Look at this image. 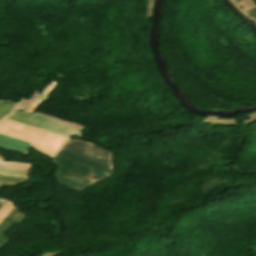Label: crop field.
I'll return each instance as SVG.
<instances>
[{
  "mask_svg": "<svg viewBox=\"0 0 256 256\" xmlns=\"http://www.w3.org/2000/svg\"><path fill=\"white\" fill-rule=\"evenodd\" d=\"M60 168L56 172L59 182L80 191L110 176L112 170L60 150L54 157Z\"/></svg>",
  "mask_w": 256,
  "mask_h": 256,
  "instance_id": "crop-field-1",
  "label": "crop field"
},
{
  "mask_svg": "<svg viewBox=\"0 0 256 256\" xmlns=\"http://www.w3.org/2000/svg\"><path fill=\"white\" fill-rule=\"evenodd\" d=\"M0 133L30 142L37 150L53 156L67 138L3 119Z\"/></svg>",
  "mask_w": 256,
  "mask_h": 256,
  "instance_id": "crop-field-2",
  "label": "crop field"
},
{
  "mask_svg": "<svg viewBox=\"0 0 256 256\" xmlns=\"http://www.w3.org/2000/svg\"><path fill=\"white\" fill-rule=\"evenodd\" d=\"M5 119L12 120L67 138H71L72 136L81 137L80 131L84 130V127L71 124L40 113L31 114L23 111H12L5 117Z\"/></svg>",
  "mask_w": 256,
  "mask_h": 256,
  "instance_id": "crop-field-3",
  "label": "crop field"
},
{
  "mask_svg": "<svg viewBox=\"0 0 256 256\" xmlns=\"http://www.w3.org/2000/svg\"><path fill=\"white\" fill-rule=\"evenodd\" d=\"M62 150L112 169V154L89 143L70 139Z\"/></svg>",
  "mask_w": 256,
  "mask_h": 256,
  "instance_id": "crop-field-4",
  "label": "crop field"
},
{
  "mask_svg": "<svg viewBox=\"0 0 256 256\" xmlns=\"http://www.w3.org/2000/svg\"><path fill=\"white\" fill-rule=\"evenodd\" d=\"M0 147L18 151L27 156L28 148L31 146L27 142L20 141L0 134Z\"/></svg>",
  "mask_w": 256,
  "mask_h": 256,
  "instance_id": "crop-field-5",
  "label": "crop field"
},
{
  "mask_svg": "<svg viewBox=\"0 0 256 256\" xmlns=\"http://www.w3.org/2000/svg\"><path fill=\"white\" fill-rule=\"evenodd\" d=\"M26 179L23 178H15V177H7L0 175V185H12L24 182Z\"/></svg>",
  "mask_w": 256,
  "mask_h": 256,
  "instance_id": "crop-field-6",
  "label": "crop field"
},
{
  "mask_svg": "<svg viewBox=\"0 0 256 256\" xmlns=\"http://www.w3.org/2000/svg\"><path fill=\"white\" fill-rule=\"evenodd\" d=\"M14 207L11 206L9 202L6 201V203L3 205V207L0 209V222L8 215V213L13 209Z\"/></svg>",
  "mask_w": 256,
  "mask_h": 256,
  "instance_id": "crop-field-7",
  "label": "crop field"
},
{
  "mask_svg": "<svg viewBox=\"0 0 256 256\" xmlns=\"http://www.w3.org/2000/svg\"><path fill=\"white\" fill-rule=\"evenodd\" d=\"M14 104V102L5 99L0 101V117Z\"/></svg>",
  "mask_w": 256,
  "mask_h": 256,
  "instance_id": "crop-field-8",
  "label": "crop field"
},
{
  "mask_svg": "<svg viewBox=\"0 0 256 256\" xmlns=\"http://www.w3.org/2000/svg\"><path fill=\"white\" fill-rule=\"evenodd\" d=\"M4 200H0V206L3 204Z\"/></svg>",
  "mask_w": 256,
  "mask_h": 256,
  "instance_id": "crop-field-9",
  "label": "crop field"
}]
</instances>
